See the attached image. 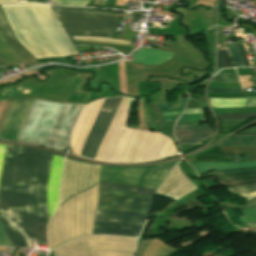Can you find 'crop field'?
<instances>
[{"instance_id":"1","label":"crop field","mask_w":256,"mask_h":256,"mask_svg":"<svg viewBox=\"0 0 256 256\" xmlns=\"http://www.w3.org/2000/svg\"><path fill=\"white\" fill-rule=\"evenodd\" d=\"M52 156L7 145L0 180V220L14 246L32 248L30 240L48 246L46 186Z\"/></svg>"},{"instance_id":"2","label":"crop field","mask_w":256,"mask_h":256,"mask_svg":"<svg viewBox=\"0 0 256 256\" xmlns=\"http://www.w3.org/2000/svg\"><path fill=\"white\" fill-rule=\"evenodd\" d=\"M99 188L153 196L145 188L99 182ZM94 187L72 196L60 205L48 227L50 249L78 237L95 234L93 220L96 209L147 214L152 197L115 192ZM96 210L94 221L126 223L143 226L147 215Z\"/></svg>"},{"instance_id":"3","label":"crop field","mask_w":256,"mask_h":256,"mask_svg":"<svg viewBox=\"0 0 256 256\" xmlns=\"http://www.w3.org/2000/svg\"><path fill=\"white\" fill-rule=\"evenodd\" d=\"M1 6L17 40L36 58L77 53L49 5L22 3Z\"/></svg>"},{"instance_id":"4","label":"crop field","mask_w":256,"mask_h":256,"mask_svg":"<svg viewBox=\"0 0 256 256\" xmlns=\"http://www.w3.org/2000/svg\"><path fill=\"white\" fill-rule=\"evenodd\" d=\"M130 100L122 98L94 159L111 162H143L177 154L175 143L168 136L123 127Z\"/></svg>"},{"instance_id":"5","label":"crop field","mask_w":256,"mask_h":256,"mask_svg":"<svg viewBox=\"0 0 256 256\" xmlns=\"http://www.w3.org/2000/svg\"><path fill=\"white\" fill-rule=\"evenodd\" d=\"M82 108L83 106L36 99L17 140L65 149Z\"/></svg>"},{"instance_id":"6","label":"crop field","mask_w":256,"mask_h":256,"mask_svg":"<svg viewBox=\"0 0 256 256\" xmlns=\"http://www.w3.org/2000/svg\"><path fill=\"white\" fill-rule=\"evenodd\" d=\"M50 7L53 11L58 12L118 17V14L103 11L60 8L54 6ZM58 12H54V14L58 18L73 45H76V42L74 41L72 35L101 36L111 38L117 26V18Z\"/></svg>"},{"instance_id":"7","label":"crop field","mask_w":256,"mask_h":256,"mask_svg":"<svg viewBox=\"0 0 256 256\" xmlns=\"http://www.w3.org/2000/svg\"><path fill=\"white\" fill-rule=\"evenodd\" d=\"M136 238L91 236L54 250L55 256H132Z\"/></svg>"},{"instance_id":"8","label":"crop field","mask_w":256,"mask_h":256,"mask_svg":"<svg viewBox=\"0 0 256 256\" xmlns=\"http://www.w3.org/2000/svg\"><path fill=\"white\" fill-rule=\"evenodd\" d=\"M148 167H116L102 165L100 181L127 184L158 190L176 164Z\"/></svg>"},{"instance_id":"9","label":"crop field","mask_w":256,"mask_h":256,"mask_svg":"<svg viewBox=\"0 0 256 256\" xmlns=\"http://www.w3.org/2000/svg\"><path fill=\"white\" fill-rule=\"evenodd\" d=\"M101 165L65 159L60 203L98 182Z\"/></svg>"},{"instance_id":"10","label":"crop field","mask_w":256,"mask_h":256,"mask_svg":"<svg viewBox=\"0 0 256 256\" xmlns=\"http://www.w3.org/2000/svg\"><path fill=\"white\" fill-rule=\"evenodd\" d=\"M122 97H113L105 100L95 122L92 127V130L85 142L82 156L88 158H94L96 150L105 135L110 122L113 118V115L116 111V108Z\"/></svg>"},{"instance_id":"11","label":"crop field","mask_w":256,"mask_h":256,"mask_svg":"<svg viewBox=\"0 0 256 256\" xmlns=\"http://www.w3.org/2000/svg\"><path fill=\"white\" fill-rule=\"evenodd\" d=\"M0 21L2 26L10 40V42L32 63H38L14 38L10 27L4 17V14L0 8ZM0 24V51L13 63H26L32 65L8 40L3 28ZM0 52V65H11L12 63Z\"/></svg>"},{"instance_id":"12","label":"crop field","mask_w":256,"mask_h":256,"mask_svg":"<svg viewBox=\"0 0 256 256\" xmlns=\"http://www.w3.org/2000/svg\"><path fill=\"white\" fill-rule=\"evenodd\" d=\"M103 101L104 99L95 100L85 106L78 122L72 131L71 148L73 152L80 155L83 144Z\"/></svg>"},{"instance_id":"13","label":"crop field","mask_w":256,"mask_h":256,"mask_svg":"<svg viewBox=\"0 0 256 256\" xmlns=\"http://www.w3.org/2000/svg\"><path fill=\"white\" fill-rule=\"evenodd\" d=\"M34 99L15 100L5 121L0 139H17L20 127Z\"/></svg>"},{"instance_id":"14","label":"crop field","mask_w":256,"mask_h":256,"mask_svg":"<svg viewBox=\"0 0 256 256\" xmlns=\"http://www.w3.org/2000/svg\"><path fill=\"white\" fill-rule=\"evenodd\" d=\"M196 189L197 187L183 175L179 164H177L175 169L160 187L158 194L177 200Z\"/></svg>"},{"instance_id":"15","label":"crop field","mask_w":256,"mask_h":256,"mask_svg":"<svg viewBox=\"0 0 256 256\" xmlns=\"http://www.w3.org/2000/svg\"><path fill=\"white\" fill-rule=\"evenodd\" d=\"M96 234H117L137 237L142 229L140 226L94 222Z\"/></svg>"},{"instance_id":"16","label":"crop field","mask_w":256,"mask_h":256,"mask_svg":"<svg viewBox=\"0 0 256 256\" xmlns=\"http://www.w3.org/2000/svg\"><path fill=\"white\" fill-rule=\"evenodd\" d=\"M173 53L141 48L132 55L133 61L143 64H160L171 59Z\"/></svg>"},{"instance_id":"17","label":"crop field","mask_w":256,"mask_h":256,"mask_svg":"<svg viewBox=\"0 0 256 256\" xmlns=\"http://www.w3.org/2000/svg\"><path fill=\"white\" fill-rule=\"evenodd\" d=\"M214 130H175L179 143L201 144L205 139L211 138Z\"/></svg>"},{"instance_id":"18","label":"crop field","mask_w":256,"mask_h":256,"mask_svg":"<svg viewBox=\"0 0 256 256\" xmlns=\"http://www.w3.org/2000/svg\"><path fill=\"white\" fill-rule=\"evenodd\" d=\"M195 169L196 172H202L206 170H220V169H230V168H247L256 166L255 161L241 162V163H221V162H188Z\"/></svg>"},{"instance_id":"19","label":"crop field","mask_w":256,"mask_h":256,"mask_svg":"<svg viewBox=\"0 0 256 256\" xmlns=\"http://www.w3.org/2000/svg\"><path fill=\"white\" fill-rule=\"evenodd\" d=\"M210 104L214 108H228V107H244L246 104V98L241 99H219L209 98Z\"/></svg>"},{"instance_id":"20","label":"crop field","mask_w":256,"mask_h":256,"mask_svg":"<svg viewBox=\"0 0 256 256\" xmlns=\"http://www.w3.org/2000/svg\"><path fill=\"white\" fill-rule=\"evenodd\" d=\"M218 182H219V184H225L228 188L249 185V184L256 183V175L231 178V179H225V180H218Z\"/></svg>"},{"instance_id":"21","label":"crop field","mask_w":256,"mask_h":256,"mask_svg":"<svg viewBox=\"0 0 256 256\" xmlns=\"http://www.w3.org/2000/svg\"><path fill=\"white\" fill-rule=\"evenodd\" d=\"M228 190L231 191L234 194H237V195L255 193L256 192V185H249V186L231 188V189H228ZM251 207H256V198L249 199L248 202H247V205L240 206V209L251 208Z\"/></svg>"},{"instance_id":"22","label":"crop field","mask_w":256,"mask_h":256,"mask_svg":"<svg viewBox=\"0 0 256 256\" xmlns=\"http://www.w3.org/2000/svg\"><path fill=\"white\" fill-rule=\"evenodd\" d=\"M218 145L224 146H234V145H256V136L253 137H239V138H231L223 143Z\"/></svg>"},{"instance_id":"23","label":"crop field","mask_w":256,"mask_h":256,"mask_svg":"<svg viewBox=\"0 0 256 256\" xmlns=\"http://www.w3.org/2000/svg\"><path fill=\"white\" fill-rule=\"evenodd\" d=\"M186 100H181L173 104L160 105L158 102L152 101L161 111L183 110L186 104Z\"/></svg>"},{"instance_id":"24","label":"crop field","mask_w":256,"mask_h":256,"mask_svg":"<svg viewBox=\"0 0 256 256\" xmlns=\"http://www.w3.org/2000/svg\"><path fill=\"white\" fill-rule=\"evenodd\" d=\"M227 47H228V49L231 53L234 66L235 67H244L243 62H242V58L239 54V51H238L236 45L235 44H230V45H227Z\"/></svg>"},{"instance_id":"25","label":"crop field","mask_w":256,"mask_h":256,"mask_svg":"<svg viewBox=\"0 0 256 256\" xmlns=\"http://www.w3.org/2000/svg\"><path fill=\"white\" fill-rule=\"evenodd\" d=\"M211 82H240L237 74H217Z\"/></svg>"},{"instance_id":"26","label":"crop field","mask_w":256,"mask_h":256,"mask_svg":"<svg viewBox=\"0 0 256 256\" xmlns=\"http://www.w3.org/2000/svg\"><path fill=\"white\" fill-rule=\"evenodd\" d=\"M233 67L229 60V53L227 50L218 52V68Z\"/></svg>"},{"instance_id":"27","label":"crop field","mask_w":256,"mask_h":256,"mask_svg":"<svg viewBox=\"0 0 256 256\" xmlns=\"http://www.w3.org/2000/svg\"><path fill=\"white\" fill-rule=\"evenodd\" d=\"M74 38H75V40H100V41L117 43V44H123V45H129V42H130V41L117 40V39H107V38H100V37H79V36H74Z\"/></svg>"},{"instance_id":"28","label":"crop field","mask_w":256,"mask_h":256,"mask_svg":"<svg viewBox=\"0 0 256 256\" xmlns=\"http://www.w3.org/2000/svg\"><path fill=\"white\" fill-rule=\"evenodd\" d=\"M59 5H78L85 6L90 0H50Z\"/></svg>"},{"instance_id":"29","label":"crop field","mask_w":256,"mask_h":256,"mask_svg":"<svg viewBox=\"0 0 256 256\" xmlns=\"http://www.w3.org/2000/svg\"><path fill=\"white\" fill-rule=\"evenodd\" d=\"M0 245L13 246L10 240L8 239L7 235L5 234L1 223H0Z\"/></svg>"},{"instance_id":"30","label":"crop field","mask_w":256,"mask_h":256,"mask_svg":"<svg viewBox=\"0 0 256 256\" xmlns=\"http://www.w3.org/2000/svg\"><path fill=\"white\" fill-rule=\"evenodd\" d=\"M222 120L244 119L243 113L219 114Z\"/></svg>"},{"instance_id":"31","label":"crop field","mask_w":256,"mask_h":256,"mask_svg":"<svg viewBox=\"0 0 256 256\" xmlns=\"http://www.w3.org/2000/svg\"><path fill=\"white\" fill-rule=\"evenodd\" d=\"M175 129H210L207 124L204 125H176Z\"/></svg>"},{"instance_id":"32","label":"crop field","mask_w":256,"mask_h":256,"mask_svg":"<svg viewBox=\"0 0 256 256\" xmlns=\"http://www.w3.org/2000/svg\"><path fill=\"white\" fill-rule=\"evenodd\" d=\"M252 170H256V167H254V168H247V169H231V170L212 171V173H213V175H215V174L243 172V171H252Z\"/></svg>"},{"instance_id":"33","label":"crop field","mask_w":256,"mask_h":256,"mask_svg":"<svg viewBox=\"0 0 256 256\" xmlns=\"http://www.w3.org/2000/svg\"><path fill=\"white\" fill-rule=\"evenodd\" d=\"M232 92H243L241 88L235 89H210L209 93H232Z\"/></svg>"},{"instance_id":"34","label":"crop field","mask_w":256,"mask_h":256,"mask_svg":"<svg viewBox=\"0 0 256 256\" xmlns=\"http://www.w3.org/2000/svg\"><path fill=\"white\" fill-rule=\"evenodd\" d=\"M253 174H256V171L247 172V173L217 175V177L218 179H220V178H231V177H238V176H245V175H253Z\"/></svg>"},{"instance_id":"35","label":"crop field","mask_w":256,"mask_h":256,"mask_svg":"<svg viewBox=\"0 0 256 256\" xmlns=\"http://www.w3.org/2000/svg\"><path fill=\"white\" fill-rule=\"evenodd\" d=\"M152 240H153V239L143 241V242L141 243V245L138 247L135 256H142L146 245L149 244Z\"/></svg>"},{"instance_id":"36","label":"crop field","mask_w":256,"mask_h":256,"mask_svg":"<svg viewBox=\"0 0 256 256\" xmlns=\"http://www.w3.org/2000/svg\"><path fill=\"white\" fill-rule=\"evenodd\" d=\"M237 46H238L239 51H240V53H241V56H242V58H243L245 67H249L248 59H247V57H246V54H245V52H244L243 47H242L241 45H237Z\"/></svg>"},{"instance_id":"37","label":"crop field","mask_w":256,"mask_h":256,"mask_svg":"<svg viewBox=\"0 0 256 256\" xmlns=\"http://www.w3.org/2000/svg\"><path fill=\"white\" fill-rule=\"evenodd\" d=\"M244 216L256 214V208L241 210Z\"/></svg>"},{"instance_id":"38","label":"crop field","mask_w":256,"mask_h":256,"mask_svg":"<svg viewBox=\"0 0 256 256\" xmlns=\"http://www.w3.org/2000/svg\"><path fill=\"white\" fill-rule=\"evenodd\" d=\"M247 106L246 107H255L256 106V98H247Z\"/></svg>"},{"instance_id":"39","label":"crop field","mask_w":256,"mask_h":256,"mask_svg":"<svg viewBox=\"0 0 256 256\" xmlns=\"http://www.w3.org/2000/svg\"><path fill=\"white\" fill-rule=\"evenodd\" d=\"M202 113V109H186L183 114Z\"/></svg>"},{"instance_id":"40","label":"crop field","mask_w":256,"mask_h":256,"mask_svg":"<svg viewBox=\"0 0 256 256\" xmlns=\"http://www.w3.org/2000/svg\"><path fill=\"white\" fill-rule=\"evenodd\" d=\"M182 111L162 112L161 116L181 114Z\"/></svg>"},{"instance_id":"41","label":"crop field","mask_w":256,"mask_h":256,"mask_svg":"<svg viewBox=\"0 0 256 256\" xmlns=\"http://www.w3.org/2000/svg\"><path fill=\"white\" fill-rule=\"evenodd\" d=\"M248 135H256V132L255 131L243 132L237 136H248ZM237 136H235V137H237Z\"/></svg>"},{"instance_id":"42","label":"crop field","mask_w":256,"mask_h":256,"mask_svg":"<svg viewBox=\"0 0 256 256\" xmlns=\"http://www.w3.org/2000/svg\"><path fill=\"white\" fill-rule=\"evenodd\" d=\"M256 117V112L255 113H245V119Z\"/></svg>"},{"instance_id":"43","label":"crop field","mask_w":256,"mask_h":256,"mask_svg":"<svg viewBox=\"0 0 256 256\" xmlns=\"http://www.w3.org/2000/svg\"><path fill=\"white\" fill-rule=\"evenodd\" d=\"M249 227L256 226V222L248 223Z\"/></svg>"},{"instance_id":"44","label":"crop field","mask_w":256,"mask_h":256,"mask_svg":"<svg viewBox=\"0 0 256 256\" xmlns=\"http://www.w3.org/2000/svg\"><path fill=\"white\" fill-rule=\"evenodd\" d=\"M11 1H17V0H0V3L1 2H11Z\"/></svg>"},{"instance_id":"45","label":"crop field","mask_w":256,"mask_h":256,"mask_svg":"<svg viewBox=\"0 0 256 256\" xmlns=\"http://www.w3.org/2000/svg\"><path fill=\"white\" fill-rule=\"evenodd\" d=\"M256 130V128H254Z\"/></svg>"}]
</instances>
